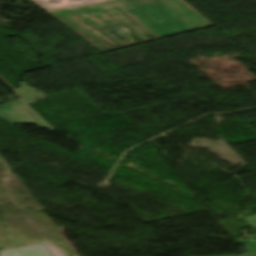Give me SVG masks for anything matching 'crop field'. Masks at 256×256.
Wrapping results in <instances>:
<instances>
[{
  "mask_svg": "<svg viewBox=\"0 0 256 256\" xmlns=\"http://www.w3.org/2000/svg\"><path fill=\"white\" fill-rule=\"evenodd\" d=\"M180 3H174V2H168V1H162L157 3H152L155 8H157L160 12H162L164 15H166L169 19H171L173 22H175L178 26H180L185 31L192 30L189 25H187L184 21H182L180 18H178L175 14H173L171 11H169L167 8L179 5Z\"/></svg>",
  "mask_w": 256,
  "mask_h": 256,
  "instance_id": "obj_5",
  "label": "crop field"
},
{
  "mask_svg": "<svg viewBox=\"0 0 256 256\" xmlns=\"http://www.w3.org/2000/svg\"><path fill=\"white\" fill-rule=\"evenodd\" d=\"M247 256H256V241L249 243Z\"/></svg>",
  "mask_w": 256,
  "mask_h": 256,
  "instance_id": "obj_7",
  "label": "crop field"
},
{
  "mask_svg": "<svg viewBox=\"0 0 256 256\" xmlns=\"http://www.w3.org/2000/svg\"><path fill=\"white\" fill-rule=\"evenodd\" d=\"M52 256H67L62 248L56 247L52 241H41Z\"/></svg>",
  "mask_w": 256,
  "mask_h": 256,
  "instance_id": "obj_6",
  "label": "crop field"
},
{
  "mask_svg": "<svg viewBox=\"0 0 256 256\" xmlns=\"http://www.w3.org/2000/svg\"><path fill=\"white\" fill-rule=\"evenodd\" d=\"M115 2V1H114ZM112 0H106L105 2H99V3H89V4H82V5H68V6H61V7H54V8H47L45 10H47L49 13H51L53 16H55L57 19H59L58 17L63 16L65 18V20H67L69 23H71L73 26H75L77 29H79L80 31L88 34L89 36L97 39L98 41H100L101 43H103L104 45H106L107 47H115L114 45H112L111 43H109L108 41H106L105 39H103L102 37H100L99 35H97L95 32H93L92 30H90L89 28H87L86 26H84L83 24H81L80 22H78L77 20H75L74 18L71 17V14H76L78 18H80L81 20L85 21L86 23H88L89 25H91L92 27H94L96 30H98L99 32H101L102 34H104L105 36H107L108 38H110L111 40L115 41L118 44H122L124 46L119 47V48H123V47H127L125 44H123L120 40H118L114 35H112L109 31H107L105 28H103L101 25H99L98 23H96L95 21H93L91 18H89L88 16L85 15V12H89L91 13L93 16H95L96 18H98L100 21H102L103 23H105L107 26H109L110 28H112L114 31H116L117 33H119L121 36H123L124 38H126L128 41L133 42V38L127 33L125 32L121 27H119L116 23H114L110 18H108L105 15V11H109L110 14L116 18L122 25H124L127 29L131 30L139 39L143 40L146 39L148 41L149 40L142 31H140L137 27H135L133 24H131L128 20H126L123 16H121L119 13H117L115 10H120L121 12H123L127 17H129L132 21H134L137 25H139L143 30H145L148 34H150L151 36H154L155 39H159L158 36H156L153 32H151L148 28H146L144 25H142L139 21H137L134 17H132L129 13H127L124 9H122L120 6H118L116 3H114ZM60 20V19H59ZM61 22H63L62 20H60ZM64 23V22H63ZM62 23V24H63ZM65 24V23H64ZM66 26H68L67 24H65ZM69 27V26H68ZM70 28V27H69ZM71 29V28H70ZM73 30V29H71ZM74 31V30H73ZM75 32V31H74ZM76 33V32H75ZM78 34V33H77ZM79 35V34H78ZM80 36V35H79ZM82 37V36H80ZM83 38V37H82ZM84 40H86L85 38H83ZM152 39V40H155ZM87 41V40H86ZM89 44H91L94 48H96L98 51H100L101 53L103 52H107V51H111V50H115V49H119L117 47L113 48V49H109V50H105L102 51L99 48H97L95 45H93L92 43H90L89 41H87ZM147 42V41H146ZM143 43V42H142ZM139 44V43H138ZM135 45V44H133ZM105 46V47H106ZM131 46V45H129Z\"/></svg>",
  "mask_w": 256,
  "mask_h": 256,
  "instance_id": "obj_1",
  "label": "crop field"
},
{
  "mask_svg": "<svg viewBox=\"0 0 256 256\" xmlns=\"http://www.w3.org/2000/svg\"><path fill=\"white\" fill-rule=\"evenodd\" d=\"M244 221L250 223L251 225H253L254 227H256V215L248 217L243 219Z\"/></svg>",
  "mask_w": 256,
  "mask_h": 256,
  "instance_id": "obj_8",
  "label": "crop field"
},
{
  "mask_svg": "<svg viewBox=\"0 0 256 256\" xmlns=\"http://www.w3.org/2000/svg\"><path fill=\"white\" fill-rule=\"evenodd\" d=\"M160 38L185 32L149 3L162 0H113ZM180 2V0H168Z\"/></svg>",
  "mask_w": 256,
  "mask_h": 256,
  "instance_id": "obj_2",
  "label": "crop field"
},
{
  "mask_svg": "<svg viewBox=\"0 0 256 256\" xmlns=\"http://www.w3.org/2000/svg\"><path fill=\"white\" fill-rule=\"evenodd\" d=\"M236 256H246V255H236Z\"/></svg>",
  "mask_w": 256,
  "mask_h": 256,
  "instance_id": "obj_9",
  "label": "crop field"
},
{
  "mask_svg": "<svg viewBox=\"0 0 256 256\" xmlns=\"http://www.w3.org/2000/svg\"><path fill=\"white\" fill-rule=\"evenodd\" d=\"M0 256H51L43 244L4 250Z\"/></svg>",
  "mask_w": 256,
  "mask_h": 256,
  "instance_id": "obj_4",
  "label": "crop field"
},
{
  "mask_svg": "<svg viewBox=\"0 0 256 256\" xmlns=\"http://www.w3.org/2000/svg\"><path fill=\"white\" fill-rule=\"evenodd\" d=\"M185 5L182 4L169 9L194 29L211 25Z\"/></svg>",
  "mask_w": 256,
  "mask_h": 256,
  "instance_id": "obj_3",
  "label": "crop field"
}]
</instances>
